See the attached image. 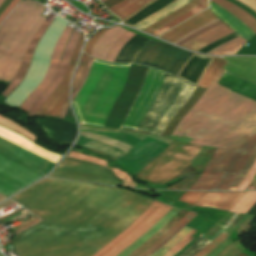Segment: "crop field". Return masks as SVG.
Returning a JSON list of instances; mask_svg holds the SVG:
<instances>
[{
	"label": "crop field",
	"instance_id": "8a807250",
	"mask_svg": "<svg viewBox=\"0 0 256 256\" xmlns=\"http://www.w3.org/2000/svg\"><path fill=\"white\" fill-rule=\"evenodd\" d=\"M12 199L43 221L10 240L18 256H93L154 202L118 188L50 178Z\"/></svg>",
	"mask_w": 256,
	"mask_h": 256
},
{
	"label": "crop field",
	"instance_id": "ac0d7876",
	"mask_svg": "<svg viewBox=\"0 0 256 256\" xmlns=\"http://www.w3.org/2000/svg\"><path fill=\"white\" fill-rule=\"evenodd\" d=\"M224 72L222 68L214 81L218 82ZM214 81L175 129L194 138L193 141L192 138L175 131L170 138L188 143L192 141V144L226 148L244 136L237 134H247L251 137L256 133V102Z\"/></svg>",
	"mask_w": 256,
	"mask_h": 256
},
{
	"label": "crop field",
	"instance_id": "34b2d1b8",
	"mask_svg": "<svg viewBox=\"0 0 256 256\" xmlns=\"http://www.w3.org/2000/svg\"><path fill=\"white\" fill-rule=\"evenodd\" d=\"M129 65L94 60L86 82L72 102L80 124L103 126L125 84Z\"/></svg>",
	"mask_w": 256,
	"mask_h": 256
},
{
	"label": "crop field",
	"instance_id": "412701ff",
	"mask_svg": "<svg viewBox=\"0 0 256 256\" xmlns=\"http://www.w3.org/2000/svg\"><path fill=\"white\" fill-rule=\"evenodd\" d=\"M0 135L12 140L32 151H35L53 161H57L60 157L59 155H56L54 153H51L47 150H44L38 146H36L34 143L26 140L25 138L0 127ZM0 136V144L10 148L22 155H25L35 161H38L50 168L53 167L55 162L35 153L32 152L12 141H9L3 137ZM0 145V154L44 175L46 174L50 168L35 162L25 156H22L10 149H7ZM0 155V193L2 192L7 197L12 195L13 193L19 191L20 189L28 186L33 181L39 179L42 177V175Z\"/></svg>",
	"mask_w": 256,
	"mask_h": 256
},
{
	"label": "crop field",
	"instance_id": "f4fd0767",
	"mask_svg": "<svg viewBox=\"0 0 256 256\" xmlns=\"http://www.w3.org/2000/svg\"><path fill=\"white\" fill-rule=\"evenodd\" d=\"M43 5L25 0L6 18L0 28V80L11 82L25 50L45 17Z\"/></svg>",
	"mask_w": 256,
	"mask_h": 256
},
{
	"label": "crop field",
	"instance_id": "dd49c442",
	"mask_svg": "<svg viewBox=\"0 0 256 256\" xmlns=\"http://www.w3.org/2000/svg\"><path fill=\"white\" fill-rule=\"evenodd\" d=\"M67 23L59 16L51 23L33 54L30 68L22 83L6 98L5 102L8 105L19 107L43 80L54 45Z\"/></svg>",
	"mask_w": 256,
	"mask_h": 256
},
{
	"label": "crop field",
	"instance_id": "e52e79f7",
	"mask_svg": "<svg viewBox=\"0 0 256 256\" xmlns=\"http://www.w3.org/2000/svg\"><path fill=\"white\" fill-rule=\"evenodd\" d=\"M202 148L173 141L153 162L136 174L137 178L151 183H160L181 169Z\"/></svg>",
	"mask_w": 256,
	"mask_h": 256
},
{
	"label": "crop field",
	"instance_id": "d8731c3e",
	"mask_svg": "<svg viewBox=\"0 0 256 256\" xmlns=\"http://www.w3.org/2000/svg\"><path fill=\"white\" fill-rule=\"evenodd\" d=\"M172 207L155 201L124 232L94 256H116L160 220Z\"/></svg>",
	"mask_w": 256,
	"mask_h": 256
},
{
	"label": "crop field",
	"instance_id": "5a996713",
	"mask_svg": "<svg viewBox=\"0 0 256 256\" xmlns=\"http://www.w3.org/2000/svg\"><path fill=\"white\" fill-rule=\"evenodd\" d=\"M244 143V142H243ZM256 147V135L252 136L241 145L231 156L223 168L218 180L210 190H225L230 181L236 175L249 153ZM256 161V148L250 153L249 157L234 177L226 190H237L249 173L252 165Z\"/></svg>",
	"mask_w": 256,
	"mask_h": 256
},
{
	"label": "crop field",
	"instance_id": "3316defc",
	"mask_svg": "<svg viewBox=\"0 0 256 256\" xmlns=\"http://www.w3.org/2000/svg\"><path fill=\"white\" fill-rule=\"evenodd\" d=\"M192 55L175 48L150 40L136 55L133 62L149 65L176 75L187 59Z\"/></svg>",
	"mask_w": 256,
	"mask_h": 256
},
{
	"label": "crop field",
	"instance_id": "28ad6ade",
	"mask_svg": "<svg viewBox=\"0 0 256 256\" xmlns=\"http://www.w3.org/2000/svg\"><path fill=\"white\" fill-rule=\"evenodd\" d=\"M49 176L116 185L123 184L103 166L72 159H64Z\"/></svg>",
	"mask_w": 256,
	"mask_h": 256
},
{
	"label": "crop field",
	"instance_id": "d1516ede",
	"mask_svg": "<svg viewBox=\"0 0 256 256\" xmlns=\"http://www.w3.org/2000/svg\"><path fill=\"white\" fill-rule=\"evenodd\" d=\"M164 74L148 70L143 86L120 129L136 130L138 124L153 103L163 80Z\"/></svg>",
	"mask_w": 256,
	"mask_h": 256
},
{
	"label": "crop field",
	"instance_id": "22f410ed",
	"mask_svg": "<svg viewBox=\"0 0 256 256\" xmlns=\"http://www.w3.org/2000/svg\"><path fill=\"white\" fill-rule=\"evenodd\" d=\"M82 43H83V32L75 46L69 67L67 69V72L62 82L54 91V93L51 95V97L43 104V106L40 108L37 115H48V116H55V117L60 116L68 100L69 81L73 73V70L75 68L77 57H78L80 48L82 46Z\"/></svg>",
	"mask_w": 256,
	"mask_h": 256
},
{
	"label": "crop field",
	"instance_id": "cbeb9de0",
	"mask_svg": "<svg viewBox=\"0 0 256 256\" xmlns=\"http://www.w3.org/2000/svg\"><path fill=\"white\" fill-rule=\"evenodd\" d=\"M247 135L238 140L237 142L230 145L226 150L219 149L215 151L211 160L209 161L204 173L200 177V179L196 182L194 186L190 189L193 190H208L217 180L220 171L224 167L225 163L232 155V153L247 139H249Z\"/></svg>",
	"mask_w": 256,
	"mask_h": 256
},
{
	"label": "crop field",
	"instance_id": "5142ce71",
	"mask_svg": "<svg viewBox=\"0 0 256 256\" xmlns=\"http://www.w3.org/2000/svg\"><path fill=\"white\" fill-rule=\"evenodd\" d=\"M72 31V28L66 26L64 29L62 35L60 36L53 54L51 58V62L47 71V74L44 78V80L37 86V88L34 90V92L23 102V104L19 107L25 112H28L30 107L33 105V103L36 101V99L41 95V93L47 88V86L52 81L59 65V59L62 54L63 48L68 40V37Z\"/></svg>",
	"mask_w": 256,
	"mask_h": 256
},
{
	"label": "crop field",
	"instance_id": "d9b57169",
	"mask_svg": "<svg viewBox=\"0 0 256 256\" xmlns=\"http://www.w3.org/2000/svg\"><path fill=\"white\" fill-rule=\"evenodd\" d=\"M79 35L80 34H78L76 31L73 30V32L68 40L65 52L61 59L60 66H59L58 72H57L54 80L51 82V84L48 86V88L43 92V94L38 98V100L32 106V108L30 109L28 114L36 115V113L38 112L39 108L44 103V101L49 97V95L56 89V87L61 82V80L66 72L67 66L69 64V61H70V58H71V55H72V52L74 49V46L76 44V41H77Z\"/></svg>",
	"mask_w": 256,
	"mask_h": 256
},
{
	"label": "crop field",
	"instance_id": "733c2abd",
	"mask_svg": "<svg viewBox=\"0 0 256 256\" xmlns=\"http://www.w3.org/2000/svg\"><path fill=\"white\" fill-rule=\"evenodd\" d=\"M217 19L209 9L201 12L200 14L194 16L193 18L187 20L166 34L162 35L160 38L168 40L170 42H175L177 39L181 38L185 34Z\"/></svg>",
	"mask_w": 256,
	"mask_h": 256
},
{
	"label": "crop field",
	"instance_id": "4a817a6b",
	"mask_svg": "<svg viewBox=\"0 0 256 256\" xmlns=\"http://www.w3.org/2000/svg\"><path fill=\"white\" fill-rule=\"evenodd\" d=\"M245 192H206L195 204L205 207L206 205L216 206V209L230 210ZM207 206L210 208H215Z\"/></svg>",
	"mask_w": 256,
	"mask_h": 256
},
{
	"label": "crop field",
	"instance_id": "bc2a9ffb",
	"mask_svg": "<svg viewBox=\"0 0 256 256\" xmlns=\"http://www.w3.org/2000/svg\"><path fill=\"white\" fill-rule=\"evenodd\" d=\"M50 25V22L44 20V22L42 23L41 27L39 28V30L37 31V33L35 34V36L33 37L32 41L30 42L27 51L24 55V58L22 60V63L20 65V68L15 76V78L13 79L12 83L7 87V89L2 93L5 97L16 87L18 86L23 77L25 76L28 67H29V63L31 61L32 58V54L33 51L35 49V47L37 46L41 36L43 35V33L46 31V29L48 28V26Z\"/></svg>",
	"mask_w": 256,
	"mask_h": 256
},
{
	"label": "crop field",
	"instance_id": "214f88e0",
	"mask_svg": "<svg viewBox=\"0 0 256 256\" xmlns=\"http://www.w3.org/2000/svg\"><path fill=\"white\" fill-rule=\"evenodd\" d=\"M232 32H234V31L231 30L229 27H227L223 23V24H221L215 28H212V29L200 34L199 36L191 39L186 44H184L183 47L197 51V50L203 48L204 46H206L207 44H209L221 37H224Z\"/></svg>",
	"mask_w": 256,
	"mask_h": 256
},
{
	"label": "crop field",
	"instance_id": "92a150f3",
	"mask_svg": "<svg viewBox=\"0 0 256 256\" xmlns=\"http://www.w3.org/2000/svg\"><path fill=\"white\" fill-rule=\"evenodd\" d=\"M125 32L126 30L119 26L107 30L98 39L90 55L105 60L109 49Z\"/></svg>",
	"mask_w": 256,
	"mask_h": 256
},
{
	"label": "crop field",
	"instance_id": "dafd665d",
	"mask_svg": "<svg viewBox=\"0 0 256 256\" xmlns=\"http://www.w3.org/2000/svg\"><path fill=\"white\" fill-rule=\"evenodd\" d=\"M211 11L222 19L228 26L239 33L246 41L252 37L255 33L251 31L246 25L222 9L217 4L210 1Z\"/></svg>",
	"mask_w": 256,
	"mask_h": 256
},
{
	"label": "crop field",
	"instance_id": "00972430",
	"mask_svg": "<svg viewBox=\"0 0 256 256\" xmlns=\"http://www.w3.org/2000/svg\"><path fill=\"white\" fill-rule=\"evenodd\" d=\"M175 213L169 211L157 224H155L148 232L134 241L130 246H128L124 251H122L117 256H127L133 250L142 245L146 240H148L151 236H153L159 229H161L173 216Z\"/></svg>",
	"mask_w": 256,
	"mask_h": 256
},
{
	"label": "crop field",
	"instance_id": "a9b5d70f",
	"mask_svg": "<svg viewBox=\"0 0 256 256\" xmlns=\"http://www.w3.org/2000/svg\"><path fill=\"white\" fill-rule=\"evenodd\" d=\"M217 4H219L221 7H223L225 10L230 12L232 15H234L236 18H238L240 21H242L244 24H246L250 29H252L256 33V19L242 10L241 8L225 1V0H211Z\"/></svg>",
	"mask_w": 256,
	"mask_h": 256
},
{
	"label": "crop field",
	"instance_id": "4177f3b9",
	"mask_svg": "<svg viewBox=\"0 0 256 256\" xmlns=\"http://www.w3.org/2000/svg\"><path fill=\"white\" fill-rule=\"evenodd\" d=\"M195 215L188 213L179 223H177L169 232H167L158 242L152 247L142 253L140 256H151L156 250L170 240L176 233H178Z\"/></svg>",
	"mask_w": 256,
	"mask_h": 256
},
{
	"label": "crop field",
	"instance_id": "730fd06b",
	"mask_svg": "<svg viewBox=\"0 0 256 256\" xmlns=\"http://www.w3.org/2000/svg\"><path fill=\"white\" fill-rule=\"evenodd\" d=\"M187 212L181 210L177 213L161 230H159L153 237L145 242L138 249L133 251L129 256H139L142 252L152 246L163 234H165L170 228H172Z\"/></svg>",
	"mask_w": 256,
	"mask_h": 256
},
{
	"label": "crop field",
	"instance_id": "eef30255",
	"mask_svg": "<svg viewBox=\"0 0 256 256\" xmlns=\"http://www.w3.org/2000/svg\"><path fill=\"white\" fill-rule=\"evenodd\" d=\"M149 1L150 0H123L108 9L118 15L121 19H124Z\"/></svg>",
	"mask_w": 256,
	"mask_h": 256
},
{
	"label": "crop field",
	"instance_id": "ae1a2a85",
	"mask_svg": "<svg viewBox=\"0 0 256 256\" xmlns=\"http://www.w3.org/2000/svg\"><path fill=\"white\" fill-rule=\"evenodd\" d=\"M226 64V61L221 58H215L211 65L209 66L208 70L202 77L201 81L198 84V87L207 88L211 81L215 78L218 74L220 69Z\"/></svg>",
	"mask_w": 256,
	"mask_h": 256
},
{
	"label": "crop field",
	"instance_id": "d3111659",
	"mask_svg": "<svg viewBox=\"0 0 256 256\" xmlns=\"http://www.w3.org/2000/svg\"><path fill=\"white\" fill-rule=\"evenodd\" d=\"M189 1L190 0H178L175 3H173L172 5H170L169 7H167L166 9H164L159 14L147 19L146 21L142 22L135 28L143 30L146 27L150 26L151 24L155 23L156 21L160 20L161 18H163V17L167 16L168 14L172 13L173 11L177 10L178 8L184 6Z\"/></svg>",
	"mask_w": 256,
	"mask_h": 256
},
{
	"label": "crop field",
	"instance_id": "750c4746",
	"mask_svg": "<svg viewBox=\"0 0 256 256\" xmlns=\"http://www.w3.org/2000/svg\"><path fill=\"white\" fill-rule=\"evenodd\" d=\"M198 2L192 0L191 2H189L187 5H185L184 7L178 9L177 11L173 12L172 14L168 15L167 17L163 18L162 20L156 22L155 24L151 25L150 27H148L147 29H145L144 31H147L149 33L153 32L154 30L158 29L159 27H161L162 25L166 24L167 22H169L170 20L186 13L187 11H189L190 9L194 8L195 6H197Z\"/></svg>",
	"mask_w": 256,
	"mask_h": 256
},
{
	"label": "crop field",
	"instance_id": "bd1437ed",
	"mask_svg": "<svg viewBox=\"0 0 256 256\" xmlns=\"http://www.w3.org/2000/svg\"><path fill=\"white\" fill-rule=\"evenodd\" d=\"M205 8H207V6L201 4L198 7L194 8L193 10L189 11L188 13L170 21L166 25H164L161 28H159L158 30L154 31L152 34L158 36V35L162 34L163 32H165L166 30L170 29L171 27L179 24L180 22H182V21L186 20L187 18L195 15L196 13L202 11Z\"/></svg>",
	"mask_w": 256,
	"mask_h": 256
},
{
	"label": "crop field",
	"instance_id": "1d83c4d3",
	"mask_svg": "<svg viewBox=\"0 0 256 256\" xmlns=\"http://www.w3.org/2000/svg\"><path fill=\"white\" fill-rule=\"evenodd\" d=\"M255 202L256 192H247L230 211L246 213Z\"/></svg>",
	"mask_w": 256,
	"mask_h": 256
},
{
	"label": "crop field",
	"instance_id": "120bbe31",
	"mask_svg": "<svg viewBox=\"0 0 256 256\" xmlns=\"http://www.w3.org/2000/svg\"><path fill=\"white\" fill-rule=\"evenodd\" d=\"M191 230L192 229L185 226L178 234H176L170 241H168L163 247H161L152 256H162L168 249H170L174 244H176L180 239H182Z\"/></svg>",
	"mask_w": 256,
	"mask_h": 256
},
{
	"label": "crop field",
	"instance_id": "d32e631a",
	"mask_svg": "<svg viewBox=\"0 0 256 256\" xmlns=\"http://www.w3.org/2000/svg\"><path fill=\"white\" fill-rule=\"evenodd\" d=\"M134 35L135 33L127 31L111 48L106 60L113 62L120 48Z\"/></svg>",
	"mask_w": 256,
	"mask_h": 256
},
{
	"label": "crop field",
	"instance_id": "5866460e",
	"mask_svg": "<svg viewBox=\"0 0 256 256\" xmlns=\"http://www.w3.org/2000/svg\"><path fill=\"white\" fill-rule=\"evenodd\" d=\"M88 58H89V56H87L85 53L82 54L81 60L79 62L77 71H76L74 79H73L72 94H73L75 88L80 83V81L84 75V71L87 66Z\"/></svg>",
	"mask_w": 256,
	"mask_h": 256
},
{
	"label": "crop field",
	"instance_id": "028f5c9d",
	"mask_svg": "<svg viewBox=\"0 0 256 256\" xmlns=\"http://www.w3.org/2000/svg\"><path fill=\"white\" fill-rule=\"evenodd\" d=\"M0 123L9 127V128H11V129H13V130H15V131H17V132H19V133H21V134H23V135H25L26 137L30 138L33 141L36 138V137L32 136L29 132H27L21 125L13 122V121H11V120H9V119L1 116V115H0Z\"/></svg>",
	"mask_w": 256,
	"mask_h": 256
},
{
	"label": "crop field",
	"instance_id": "e1f06a70",
	"mask_svg": "<svg viewBox=\"0 0 256 256\" xmlns=\"http://www.w3.org/2000/svg\"><path fill=\"white\" fill-rule=\"evenodd\" d=\"M228 237L226 231L224 230L216 239H214L208 246H206L202 251L197 253L195 256H206L214 248H216L221 242H223Z\"/></svg>",
	"mask_w": 256,
	"mask_h": 256
},
{
	"label": "crop field",
	"instance_id": "0bd39190",
	"mask_svg": "<svg viewBox=\"0 0 256 256\" xmlns=\"http://www.w3.org/2000/svg\"><path fill=\"white\" fill-rule=\"evenodd\" d=\"M246 41L243 39L236 41L216 52L213 54H220V55H228V54H234Z\"/></svg>",
	"mask_w": 256,
	"mask_h": 256
},
{
	"label": "crop field",
	"instance_id": "b80d0937",
	"mask_svg": "<svg viewBox=\"0 0 256 256\" xmlns=\"http://www.w3.org/2000/svg\"><path fill=\"white\" fill-rule=\"evenodd\" d=\"M195 231L192 230L188 235H186L182 240H180L176 245H174L169 251H167L163 256H173L181 248H183L191 239L190 237Z\"/></svg>",
	"mask_w": 256,
	"mask_h": 256
},
{
	"label": "crop field",
	"instance_id": "c035e120",
	"mask_svg": "<svg viewBox=\"0 0 256 256\" xmlns=\"http://www.w3.org/2000/svg\"><path fill=\"white\" fill-rule=\"evenodd\" d=\"M205 192H186L179 201L194 205Z\"/></svg>",
	"mask_w": 256,
	"mask_h": 256
},
{
	"label": "crop field",
	"instance_id": "c21b1889",
	"mask_svg": "<svg viewBox=\"0 0 256 256\" xmlns=\"http://www.w3.org/2000/svg\"><path fill=\"white\" fill-rule=\"evenodd\" d=\"M255 173H256V163L238 190H244L249 185L250 181L253 179Z\"/></svg>",
	"mask_w": 256,
	"mask_h": 256
},
{
	"label": "crop field",
	"instance_id": "03da06ac",
	"mask_svg": "<svg viewBox=\"0 0 256 256\" xmlns=\"http://www.w3.org/2000/svg\"><path fill=\"white\" fill-rule=\"evenodd\" d=\"M105 30H101L100 32H98L97 34H95L94 36H92V38L89 40L87 46H86V49H85V52L86 53H90L91 49H92V46L93 44L95 43V41L98 39V37L104 32Z\"/></svg>",
	"mask_w": 256,
	"mask_h": 256
},
{
	"label": "crop field",
	"instance_id": "b54c1fbb",
	"mask_svg": "<svg viewBox=\"0 0 256 256\" xmlns=\"http://www.w3.org/2000/svg\"><path fill=\"white\" fill-rule=\"evenodd\" d=\"M19 0H13L10 5L5 9V11L0 16V22L10 13V11L15 7ZM1 24V23H0Z\"/></svg>",
	"mask_w": 256,
	"mask_h": 256
},
{
	"label": "crop field",
	"instance_id": "5d738f31",
	"mask_svg": "<svg viewBox=\"0 0 256 256\" xmlns=\"http://www.w3.org/2000/svg\"><path fill=\"white\" fill-rule=\"evenodd\" d=\"M92 61H93V58L90 57L88 66H87V68H86L85 76H84V78H83L81 84L79 85V87L77 88V90L75 91V93L73 94L72 100L74 99L75 95L77 94V92L79 91V89L81 88V86L83 85V83H84V81H85V79H86V77H87V75H88V73H89V71H90V67H91Z\"/></svg>",
	"mask_w": 256,
	"mask_h": 256
},
{
	"label": "crop field",
	"instance_id": "d23c7cc5",
	"mask_svg": "<svg viewBox=\"0 0 256 256\" xmlns=\"http://www.w3.org/2000/svg\"><path fill=\"white\" fill-rule=\"evenodd\" d=\"M220 23H222V22L219 21V22H217V23H215V24H213V25H211V26H209V27H207V28H205V29H203V30H201V31H199V32H197V33L191 35V36L188 37L187 39H185V40H183L182 42H180L178 45H180V46L183 45L184 43H186V42H187L188 40H190L191 38H193V37L199 35L200 33L204 32V31H206V30H208V29H210V28H212V27H214V26H216V25H218V24H220Z\"/></svg>",
	"mask_w": 256,
	"mask_h": 256
},
{
	"label": "crop field",
	"instance_id": "425ffa30",
	"mask_svg": "<svg viewBox=\"0 0 256 256\" xmlns=\"http://www.w3.org/2000/svg\"><path fill=\"white\" fill-rule=\"evenodd\" d=\"M256 12V0H237Z\"/></svg>",
	"mask_w": 256,
	"mask_h": 256
},
{
	"label": "crop field",
	"instance_id": "25e5ab78",
	"mask_svg": "<svg viewBox=\"0 0 256 256\" xmlns=\"http://www.w3.org/2000/svg\"><path fill=\"white\" fill-rule=\"evenodd\" d=\"M154 1H156V0H154ZM154 1H152V2H154ZM175 1V0H174ZM173 1V2H174ZM152 2H150L149 4H151ZM173 2H171V3H173ZM170 3V4H171ZM149 4H147L146 6H148ZM170 4H168L167 6H169ZM146 6H144L143 8H145ZM167 6H165V7H167ZM165 7H163L162 9H164ZM143 8H141L140 10H142ZM162 9H160V10H162ZM140 10H138V11H136L135 13H133L131 16H129L127 19H129L130 17H132L133 15H135L137 12H139ZM160 10H158L157 12H159ZM157 12H155V13H157ZM155 13H153L152 15H154ZM152 15H150L149 17H151ZM149 17H147V18H149ZM147 18H145V19H147ZM126 19V20H127ZM144 19V20H145ZM144 20H142V21H144ZM125 21V20H124ZM123 21V24H126L125 22ZM142 21H140V22H138V23H136V24H134V25H130V26H132V27H134V26H136L137 24H139V23H141ZM127 25H129V24H127Z\"/></svg>",
	"mask_w": 256,
	"mask_h": 256
},
{
	"label": "crop field",
	"instance_id": "73cf0c24",
	"mask_svg": "<svg viewBox=\"0 0 256 256\" xmlns=\"http://www.w3.org/2000/svg\"><path fill=\"white\" fill-rule=\"evenodd\" d=\"M193 55H196V54H193ZM193 55H192V56H193ZM196 56L206 57V56H201V55H196ZM206 58H211L209 64H210V63L212 62V60L214 59V58H212V57H206ZM190 59H191V58H190ZM190 59H189V60H190ZM189 60H188V61H189ZM188 61L186 62V64L188 63ZM186 64H185V65H186ZM209 64L207 65V67L209 66ZM185 65L183 66V68L185 67ZM207 67L205 68L204 72L206 71ZM183 68L181 69V71L183 70ZM181 71H180V72H181ZM204 72H203L202 75L200 76L198 82L200 81V79H201V77L203 76ZM179 74H180V73H179ZM179 74H178V75H179ZM177 77H179V76H177ZM179 78H181V77H179ZM181 79H183V78H181ZM183 80H185V79H183ZM185 81H186V80H185ZM187 82H188V81H187ZM198 82H197V84H198ZM189 83H190V82H189ZM191 84H192V83H191ZM197 84H196L195 86H197ZM193 85H194V84H193Z\"/></svg>",
	"mask_w": 256,
	"mask_h": 256
},
{
	"label": "crop field",
	"instance_id": "89e229c0",
	"mask_svg": "<svg viewBox=\"0 0 256 256\" xmlns=\"http://www.w3.org/2000/svg\"><path fill=\"white\" fill-rule=\"evenodd\" d=\"M37 222H39V219H37V220H35V221H33V222H31V223L25 225V226H23V227H21V228L15 230V231H13V232L16 234V233H18V232H20V231H22V230H24V229L30 227L31 225H33V224H35V223H37Z\"/></svg>",
	"mask_w": 256,
	"mask_h": 256
},
{
	"label": "crop field",
	"instance_id": "1f2cbd36",
	"mask_svg": "<svg viewBox=\"0 0 256 256\" xmlns=\"http://www.w3.org/2000/svg\"><path fill=\"white\" fill-rule=\"evenodd\" d=\"M239 39H241V37H239V38H237V39H235V40H232V41H230V42H228V43H225V44H223V45H221V46H219V47H217V48L211 50L210 52H208V54H211L212 52H214V51H216V50H218V49H220V48H222V47H224V46H226V45H228V44H230V43H232V42H234V41H236V40H239Z\"/></svg>",
	"mask_w": 256,
	"mask_h": 256
},
{
	"label": "crop field",
	"instance_id": "dbb93151",
	"mask_svg": "<svg viewBox=\"0 0 256 256\" xmlns=\"http://www.w3.org/2000/svg\"><path fill=\"white\" fill-rule=\"evenodd\" d=\"M68 106H69V103H67V105L65 106V108H64V110H63V112H62V114H61V116H60L61 118H63V116H64V114H65V112H66Z\"/></svg>",
	"mask_w": 256,
	"mask_h": 256
},
{
	"label": "crop field",
	"instance_id": "0fb4a251",
	"mask_svg": "<svg viewBox=\"0 0 256 256\" xmlns=\"http://www.w3.org/2000/svg\"><path fill=\"white\" fill-rule=\"evenodd\" d=\"M197 1L202 2V3L206 4V5H208L207 4V0H197Z\"/></svg>",
	"mask_w": 256,
	"mask_h": 256
},
{
	"label": "crop field",
	"instance_id": "1d79db26",
	"mask_svg": "<svg viewBox=\"0 0 256 256\" xmlns=\"http://www.w3.org/2000/svg\"><path fill=\"white\" fill-rule=\"evenodd\" d=\"M238 256H246V255H244V254L240 253Z\"/></svg>",
	"mask_w": 256,
	"mask_h": 256
},
{
	"label": "crop field",
	"instance_id": "9d1cf04e",
	"mask_svg": "<svg viewBox=\"0 0 256 256\" xmlns=\"http://www.w3.org/2000/svg\"><path fill=\"white\" fill-rule=\"evenodd\" d=\"M3 0H0V4L2 3Z\"/></svg>",
	"mask_w": 256,
	"mask_h": 256
},
{
	"label": "crop field",
	"instance_id": "447ae74e",
	"mask_svg": "<svg viewBox=\"0 0 256 256\" xmlns=\"http://www.w3.org/2000/svg\"><path fill=\"white\" fill-rule=\"evenodd\" d=\"M105 1V0H102V2Z\"/></svg>",
	"mask_w": 256,
	"mask_h": 256
}]
</instances>
